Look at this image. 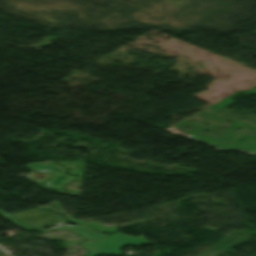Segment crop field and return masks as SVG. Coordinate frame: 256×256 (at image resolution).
I'll return each instance as SVG.
<instances>
[{
  "label": "crop field",
  "instance_id": "34b2d1b8",
  "mask_svg": "<svg viewBox=\"0 0 256 256\" xmlns=\"http://www.w3.org/2000/svg\"><path fill=\"white\" fill-rule=\"evenodd\" d=\"M35 171H49L53 173L54 176L48 182L47 187L58 189L67 183L68 180L73 179L63 174L64 170L56 164H31L27 166Z\"/></svg>",
  "mask_w": 256,
  "mask_h": 256
},
{
  "label": "crop field",
  "instance_id": "ac0d7876",
  "mask_svg": "<svg viewBox=\"0 0 256 256\" xmlns=\"http://www.w3.org/2000/svg\"><path fill=\"white\" fill-rule=\"evenodd\" d=\"M0 213V216H2L3 218L15 223L16 225L28 231L68 223L67 219L63 216L55 212L41 210L38 208L26 210L12 215L2 210H0Z\"/></svg>",
  "mask_w": 256,
  "mask_h": 256
},
{
  "label": "crop field",
  "instance_id": "8a807250",
  "mask_svg": "<svg viewBox=\"0 0 256 256\" xmlns=\"http://www.w3.org/2000/svg\"><path fill=\"white\" fill-rule=\"evenodd\" d=\"M49 230H70L84 237L86 240L81 244V246L83 249L88 251L86 256H95L98 254L121 255L119 249L122 245H139L142 243L154 244L153 242L145 240L142 235L132 237L124 233L116 232L111 236H106L85 225L70 226L68 224H64L57 227H51L49 229L38 230V232ZM116 241L120 242L116 243ZM113 248L115 249L113 250Z\"/></svg>",
  "mask_w": 256,
  "mask_h": 256
}]
</instances>
